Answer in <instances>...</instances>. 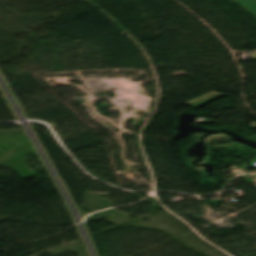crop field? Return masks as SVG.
Here are the masks:
<instances>
[{"instance_id":"2","label":"crop field","mask_w":256,"mask_h":256,"mask_svg":"<svg viewBox=\"0 0 256 256\" xmlns=\"http://www.w3.org/2000/svg\"><path fill=\"white\" fill-rule=\"evenodd\" d=\"M247 11L256 16V0H234Z\"/></svg>"},{"instance_id":"1","label":"crop field","mask_w":256,"mask_h":256,"mask_svg":"<svg viewBox=\"0 0 256 256\" xmlns=\"http://www.w3.org/2000/svg\"><path fill=\"white\" fill-rule=\"evenodd\" d=\"M220 96H222V95L210 92V93L205 94L203 96H200L196 99H193V100H191V101H189L185 104L194 108V109H196V108H198V107H200V106H202V105H204V104H206V103H208V102H210V101H212V100H214V99H216Z\"/></svg>"}]
</instances>
